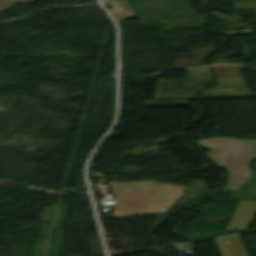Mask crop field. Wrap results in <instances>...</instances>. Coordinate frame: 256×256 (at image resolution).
<instances>
[{
	"label": "crop field",
	"instance_id": "8a807250",
	"mask_svg": "<svg viewBox=\"0 0 256 256\" xmlns=\"http://www.w3.org/2000/svg\"><path fill=\"white\" fill-rule=\"evenodd\" d=\"M119 205L116 218L142 213H163L181 194L183 187L162 185L153 181L110 183ZM172 187L168 195L155 194L152 188Z\"/></svg>",
	"mask_w": 256,
	"mask_h": 256
},
{
	"label": "crop field",
	"instance_id": "ac0d7876",
	"mask_svg": "<svg viewBox=\"0 0 256 256\" xmlns=\"http://www.w3.org/2000/svg\"><path fill=\"white\" fill-rule=\"evenodd\" d=\"M199 147L210 148L207 157L214 165L229 172L225 190L241 187L250 176L248 163L256 159V141L233 140L227 138L203 139L196 142ZM242 170V173L236 172Z\"/></svg>",
	"mask_w": 256,
	"mask_h": 256
},
{
	"label": "crop field",
	"instance_id": "34b2d1b8",
	"mask_svg": "<svg viewBox=\"0 0 256 256\" xmlns=\"http://www.w3.org/2000/svg\"><path fill=\"white\" fill-rule=\"evenodd\" d=\"M189 0H110L105 2L116 21L192 13Z\"/></svg>",
	"mask_w": 256,
	"mask_h": 256
},
{
	"label": "crop field",
	"instance_id": "412701ff",
	"mask_svg": "<svg viewBox=\"0 0 256 256\" xmlns=\"http://www.w3.org/2000/svg\"><path fill=\"white\" fill-rule=\"evenodd\" d=\"M12 5H14V3L0 0V13L4 12L8 8H10Z\"/></svg>",
	"mask_w": 256,
	"mask_h": 256
},
{
	"label": "crop field",
	"instance_id": "f4fd0767",
	"mask_svg": "<svg viewBox=\"0 0 256 256\" xmlns=\"http://www.w3.org/2000/svg\"><path fill=\"white\" fill-rule=\"evenodd\" d=\"M7 1H11V2H14V3H29L33 0H7Z\"/></svg>",
	"mask_w": 256,
	"mask_h": 256
},
{
	"label": "crop field",
	"instance_id": "dd49c442",
	"mask_svg": "<svg viewBox=\"0 0 256 256\" xmlns=\"http://www.w3.org/2000/svg\"><path fill=\"white\" fill-rule=\"evenodd\" d=\"M170 190V188H166V189H154V192L155 193H162V194H164V191H169Z\"/></svg>",
	"mask_w": 256,
	"mask_h": 256
}]
</instances>
